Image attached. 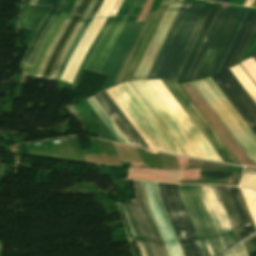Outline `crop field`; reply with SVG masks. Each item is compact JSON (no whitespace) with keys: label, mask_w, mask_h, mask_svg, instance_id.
Masks as SVG:
<instances>
[{"label":"crop field","mask_w":256,"mask_h":256,"mask_svg":"<svg viewBox=\"0 0 256 256\" xmlns=\"http://www.w3.org/2000/svg\"><path fill=\"white\" fill-rule=\"evenodd\" d=\"M206 256H217L237 243L214 185H178Z\"/></svg>","instance_id":"8a807250"},{"label":"crop field","mask_w":256,"mask_h":256,"mask_svg":"<svg viewBox=\"0 0 256 256\" xmlns=\"http://www.w3.org/2000/svg\"><path fill=\"white\" fill-rule=\"evenodd\" d=\"M203 8L183 3L147 79H169Z\"/></svg>","instance_id":"ac0d7876"},{"label":"crop field","mask_w":256,"mask_h":256,"mask_svg":"<svg viewBox=\"0 0 256 256\" xmlns=\"http://www.w3.org/2000/svg\"><path fill=\"white\" fill-rule=\"evenodd\" d=\"M134 189L137 199H134L133 201L135 203L155 256H168L156 228V225L151 216V213L149 211V208L144 199L142 182L134 181ZM133 201L131 200V202L129 203L121 204L124 213L126 215L141 255L154 256Z\"/></svg>","instance_id":"34b2d1b8"},{"label":"crop field","mask_w":256,"mask_h":256,"mask_svg":"<svg viewBox=\"0 0 256 256\" xmlns=\"http://www.w3.org/2000/svg\"><path fill=\"white\" fill-rule=\"evenodd\" d=\"M158 186L160 197L184 256H204L178 195L176 185L158 183Z\"/></svg>","instance_id":"412701ff"},{"label":"crop field","mask_w":256,"mask_h":256,"mask_svg":"<svg viewBox=\"0 0 256 256\" xmlns=\"http://www.w3.org/2000/svg\"><path fill=\"white\" fill-rule=\"evenodd\" d=\"M212 78L256 134V104L230 70L227 69Z\"/></svg>","instance_id":"f4fd0767"},{"label":"crop field","mask_w":256,"mask_h":256,"mask_svg":"<svg viewBox=\"0 0 256 256\" xmlns=\"http://www.w3.org/2000/svg\"><path fill=\"white\" fill-rule=\"evenodd\" d=\"M183 0H169L168 5L180 8ZM151 38V41L141 59V61L154 62L165 37L178 13V9L168 6ZM140 62L131 81L146 79L153 63Z\"/></svg>","instance_id":"dd49c442"},{"label":"crop field","mask_w":256,"mask_h":256,"mask_svg":"<svg viewBox=\"0 0 256 256\" xmlns=\"http://www.w3.org/2000/svg\"><path fill=\"white\" fill-rule=\"evenodd\" d=\"M161 81L172 94V96L176 99V101L180 104L183 110L187 113L190 119L194 122L197 128L201 131L204 137L212 145L215 151L219 154L222 160L225 162L236 163L231 153L224 146L221 140L217 137L214 131L210 128V126L207 124L204 118L200 115L197 109L193 106L190 100L183 93V91L179 88L176 82L172 80Z\"/></svg>","instance_id":"e52e79f7"},{"label":"crop field","mask_w":256,"mask_h":256,"mask_svg":"<svg viewBox=\"0 0 256 256\" xmlns=\"http://www.w3.org/2000/svg\"><path fill=\"white\" fill-rule=\"evenodd\" d=\"M239 13L240 10L226 9L194 80L209 76Z\"/></svg>","instance_id":"d8731c3e"},{"label":"crop field","mask_w":256,"mask_h":256,"mask_svg":"<svg viewBox=\"0 0 256 256\" xmlns=\"http://www.w3.org/2000/svg\"><path fill=\"white\" fill-rule=\"evenodd\" d=\"M67 2L68 0L49 1L47 6L52 8L50 9L49 13L47 14L46 18L44 19L38 30L36 31L35 35L33 36L21 63L32 67L41 46L43 45L45 39L50 33L54 23L63 12Z\"/></svg>","instance_id":"5a996713"},{"label":"crop field","mask_w":256,"mask_h":256,"mask_svg":"<svg viewBox=\"0 0 256 256\" xmlns=\"http://www.w3.org/2000/svg\"><path fill=\"white\" fill-rule=\"evenodd\" d=\"M129 15L115 17L112 24L105 33L103 39L91 57L86 70L100 73L109 53L118 39Z\"/></svg>","instance_id":"3316defc"},{"label":"crop field","mask_w":256,"mask_h":256,"mask_svg":"<svg viewBox=\"0 0 256 256\" xmlns=\"http://www.w3.org/2000/svg\"><path fill=\"white\" fill-rule=\"evenodd\" d=\"M95 97L131 145L149 148L106 91L98 93Z\"/></svg>","instance_id":"28ad6ade"},{"label":"crop field","mask_w":256,"mask_h":256,"mask_svg":"<svg viewBox=\"0 0 256 256\" xmlns=\"http://www.w3.org/2000/svg\"><path fill=\"white\" fill-rule=\"evenodd\" d=\"M238 241L247 237L227 187L216 186Z\"/></svg>","instance_id":"d1516ede"},{"label":"crop field","mask_w":256,"mask_h":256,"mask_svg":"<svg viewBox=\"0 0 256 256\" xmlns=\"http://www.w3.org/2000/svg\"><path fill=\"white\" fill-rule=\"evenodd\" d=\"M49 9V7L23 5L20 13L19 26L37 30Z\"/></svg>","instance_id":"22f410ed"},{"label":"crop field","mask_w":256,"mask_h":256,"mask_svg":"<svg viewBox=\"0 0 256 256\" xmlns=\"http://www.w3.org/2000/svg\"><path fill=\"white\" fill-rule=\"evenodd\" d=\"M167 2H168V0H162V2L160 4V6H159V8H158L154 18H153V20L151 22V24L149 25V27H148V29L146 31V34H145L144 39L142 41V44H141V46H140V48H139V50H138V52H137V54H136L132 64H131V66H130V68H129V70H128V72H127V74H126V76H125V78L123 80V82H127V81L131 80V78H132V76H133V74L135 72V69H136V67H137V65H138V63H139V61L141 59V56H142V54H143V52H144V50H145V48H146V46H147L151 36H152V33H153V31H154V29H155V27H156V25H157V23L159 21L162 13L164 11V9H165V6H166Z\"/></svg>","instance_id":"cbeb9de0"},{"label":"crop field","mask_w":256,"mask_h":256,"mask_svg":"<svg viewBox=\"0 0 256 256\" xmlns=\"http://www.w3.org/2000/svg\"><path fill=\"white\" fill-rule=\"evenodd\" d=\"M218 8L219 7L212 6V8H211V10H210V12H209V14H208L204 24H203V26H202V28L200 30V33H199V35L197 37V40H196V42H195V44H194V46H193V48H192L188 58H187L184 66H183V69H182V71L180 73V76H179L178 80H185L186 79L188 70H189V68H190V66H191V64H192V62H193V60H194V58H195V56H196L200 46H201V43H202V41H203V39H204L208 29H209V27H210L214 17H215V14H216Z\"/></svg>","instance_id":"5142ce71"},{"label":"crop field","mask_w":256,"mask_h":256,"mask_svg":"<svg viewBox=\"0 0 256 256\" xmlns=\"http://www.w3.org/2000/svg\"><path fill=\"white\" fill-rule=\"evenodd\" d=\"M136 18H137L136 15L131 14L130 18L128 19V21H127L119 39L117 40V42H116V44H115V46H114V48H113V50L110 54L105 66H104V68L101 72L102 75L109 76V74H110V72H111V70H112V68H113V66H114V64H115L123 46H124L127 38H128V36H129V33H130L134 23H135Z\"/></svg>","instance_id":"d9b57169"},{"label":"crop field","mask_w":256,"mask_h":256,"mask_svg":"<svg viewBox=\"0 0 256 256\" xmlns=\"http://www.w3.org/2000/svg\"><path fill=\"white\" fill-rule=\"evenodd\" d=\"M154 14H155V12H149L148 13V15H147V17L145 19V22H144V24H143L139 34L137 35V37H136V39H135V41H134V43H133V45H132V47H131V49H130V51H129V53H128L125 61H124V63L122 64V66H121V68H120V70H119V72H118V74H117V76H116L112 86H115V85L120 84L122 82L123 77H124L128 67H129V65H130V63H131V61H132L136 51H137V48H138V46L140 44V41H141V39H142V37H143V35H144V33H145L149 23L151 22Z\"/></svg>","instance_id":"733c2abd"},{"label":"crop field","mask_w":256,"mask_h":256,"mask_svg":"<svg viewBox=\"0 0 256 256\" xmlns=\"http://www.w3.org/2000/svg\"><path fill=\"white\" fill-rule=\"evenodd\" d=\"M212 5H213V3L208 2L206 7H205V9H204V11L200 15L199 20H198V22H197V24H196V26H195V28H194V30H193L189 40L187 42V45H186V47H185V49H184V51H183V53H182L178 63H177V65H176V67H175V69H174L170 79H174V80L177 79V77H178V75H179V73H180V71L182 69V66H183V64H184V62L186 60V57H187V55H188V53H189V51H190V49H191L195 39H196V37H197V35L199 33V30H200V28H201V26H202V24H203V22H204V20H205V18H206V16H207V14H208V12H209V10H210Z\"/></svg>","instance_id":"4a817a6b"},{"label":"crop field","mask_w":256,"mask_h":256,"mask_svg":"<svg viewBox=\"0 0 256 256\" xmlns=\"http://www.w3.org/2000/svg\"><path fill=\"white\" fill-rule=\"evenodd\" d=\"M224 11H225V9H223V8L219 9V11H218L211 27H210L208 33H207V35H206V37H205V39L202 43V46H201V48H200V50H199V52H198V54L195 58L190 70H189V73H188V76H187L186 80H192L193 79V77H194V75H195V73H196V71H197V69H198V67L201 63V60H202V58H203V56H204V54L207 50L208 44H209V42H210L218 24H219V21H220L222 15H223Z\"/></svg>","instance_id":"bc2a9ffb"},{"label":"crop field","mask_w":256,"mask_h":256,"mask_svg":"<svg viewBox=\"0 0 256 256\" xmlns=\"http://www.w3.org/2000/svg\"><path fill=\"white\" fill-rule=\"evenodd\" d=\"M142 24H143V21L135 23V25H134L131 33H130V36H129V38H128V40H127V42H126V44H125V46H124V48H123V50H122V52L119 56V58H118V60L115 64V66H114V68H113V70H112V72H111L103 90L107 89L111 86V84H112V82H113V80H114V78H115V76H116L124 58H125V56L127 55L128 51H129V49H130V47H131V45H132V43H133V41H134V39L137 35V33L139 32V30L142 26Z\"/></svg>","instance_id":"214f88e0"},{"label":"crop field","mask_w":256,"mask_h":256,"mask_svg":"<svg viewBox=\"0 0 256 256\" xmlns=\"http://www.w3.org/2000/svg\"><path fill=\"white\" fill-rule=\"evenodd\" d=\"M229 191H230V194L232 196V199L235 203V206L237 208V211L239 213V216L241 218V221L244 225V228L246 230V233L247 235L249 236L250 234H252L253 232H255L254 228H253V225L251 223V220L248 216V213L246 211V208L244 206V203L242 201V198L239 194V191L237 188H232V187H228ZM242 225V226H243ZM244 230V231H245Z\"/></svg>","instance_id":"92a150f3"},{"label":"crop field","mask_w":256,"mask_h":256,"mask_svg":"<svg viewBox=\"0 0 256 256\" xmlns=\"http://www.w3.org/2000/svg\"><path fill=\"white\" fill-rule=\"evenodd\" d=\"M87 101L93 107V109L97 112V114L100 116V118L104 121V123L107 125V127L111 130V132L115 135V137L118 139V141L122 142V143L129 144V142L126 140V138L120 132V130L117 128V126L114 124V122L110 119V117L107 115V113L101 107V105L98 103V101L95 99V97L93 96V97L87 99Z\"/></svg>","instance_id":"dafd665d"},{"label":"crop field","mask_w":256,"mask_h":256,"mask_svg":"<svg viewBox=\"0 0 256 256\" xmlns=\"http://www.w3.org/2000/svg\"><path fill=\"white\" fill-rule=\"evenodd\" d=\"M66 16H67V14L62 13V15L60 16V18H59V19L57 20V22L55 23V25H54V27H53L51 33L49 34L47 40L45 41V43H44V45H43V47H42V49H41V51H40V53H39V55H38V57H37V60H36L34 66H33V68H32V70H31V72H30V75H31V76L35 77V75H36V73H37V71H38V69H39V67H40V64H41V62H42V60H43V57H44V55H45V53H46V51H47V49H48V47H49V45H50L52 39H53V37L55 36L56 32H57L58 29L60 28V26H61V24L63 23V21H64V19L66 18Z\"/></svg>","instance_id":"00972430"},{"label":"crop field","mask_w":256,"mask_h":256,"mask_svg":"<svg viewBox=\"0 0 256 256\" xmlns=\"http://www.w3.org/2000/svg\"><path fill=\"white\" fill-rule=\"evenodd\" d=\"M246 14H247V11H242L241 12V14H240V16H239V18H238V20H237L233 30L231 31V33H230V35H229V37H228V39H227V41L225 43V46H224V48H223V50H222V52H221V54H220V56H219V58L217 60V63H216V65H215V67H214V69H213V71H212L210 76L218 73V71H219V69H220V67H221V65H222V63L224 61V58H225V56H226V54H227V52H228V50H229V48H230V46L232 44V41H233V39L235 37V34H236V32H237V30H238V28H239V26H240V24H241V22H242V20H243V18L245 17Z\"/></svg>","instance_id":"a9b5d70f"},{"label":"crop field","mask_w":256,"mask_h":256,"mask_svg":"<svg viewBox=\"0 0 256 256\" xmlns=\"http://www.w3.org/2000/svg\"><path fill=\"white\" fill-rule=\"evenodd\" d=\"M114 17H111V18H108L105 22V24L103 25L102 29L100 30L98 36L96 37L94 43L92 44L91 48L89 49L88 53L86 54L80 68H79V71L73 81V85H77L78 81H79V78L87 64V62L89 61L91 55L93 54L94 50L96 49L97 45L99 44L101 38L103 37L104 33L106 32L107 28L109 27V25L111 24L112 20H113Z\"/></svg>","instance_id":"4177f3b9"},{"label":"crop field","mask_w":256,"mask_h":256,"mask_svg":"<svg viewBox=\"0 0 256 256\" xmlns=\"http://www.w3.org/2000/svg\"><path fill=\"white\" fill-rule=\"evenodd\" d=\"M253 15H254V13H252V12H248V14L246 15V17H245V19H244V21H243V23H242V25H241L237 35H236V37H235V40H234V42H233V44L231 46V49H230V51H229V53H228V55H227L223 65H222L220 71L227 69V67H228V65H229V63H230V61H231V59L233 57V54H234V52H235V50H236V48H237V46H238V44H239V42L241 40V38H242L246 28H247L250 20L252 19Z\"/></svg>","instance_id":"730fd06b"},{"label":"crop field","mask_w":256,"mask_h":256,"mask_svg":"<svg viewBox=\"0 0 256 256\" xmlns=\"http://www.w3.org/2000/svg\"><path fill=\"white\" fill-rule=\"evenodd\" d=\"M72 17H73V15L68 14L67 18L65 19L64 23L62 24V26L59 29L58 33L56 34L55 38L53 39V41H52V43H51V45H50V47H49V49H48V51L45 55V58L43 57L44 58L43 63L41 65L36 77H38V78L42 77L43 71H44V69H45V67H46V65H47V63H48V61L51 57V54H52L54 48L56 47L62 33L64 32L65 28L67 27V25L70 22Z\"/></svg>","instance_id":"eef30255"},{"label":"crop field","mask_w":256,"mask_h":256,"mask_svg":"<svg viewBox=\"0 0 256 256\" xmlns=\"http://www.w3.org/2000/svg\"><path fill=\"white\" fill-rule=\"evenodd\" d=\"M84 20H85V18L80 17L77 25L75 26V29L79 30L81 25H82V23L84 22ZM75 29H73L72 33L68 37V39H67L63 49L61 50V52H60V54H59V56H58V58H57V60H56V62L54 64V66H53V68H52L48 78H51V79L54 78V76H55V74H56V72H57V70H58V68H59V66H60V64H61V62H62V60H63V58H64V56H65V54H66V52H67V50L69 48V46H70V44H71V42L73 41L75 35L78 32V30H75Z\"/></svg>","instance_id":"ae1a2a85"},{"label":"crop field","mask_w":256,"mask_h":256,"mask_svg":"<svg viewBox=\"0 0 256 256\" xmlns=\"http://www.w3.org/2000/svg\"><path fill=\"white\" fill-rule=\"evenodd\" d=\"M255 27H256V13H255L253 19L251 20V22H250L242 40H241V43H240L232 61H231V64H230L229 68L237 65V63H238V61H239V59H240V57H241V55L244 51L249 39L251 38V36L254 32Z\"/></svg>","instance_id":"d3111659"},{"label":"crop field","mask_w":256,"mask_h":256,"mask_svg":"<svg viewBox=\"0 0 256 256\" xmlns=\"http://www.w3.org/2000/svg\"><path fill=\"white\" fill-rule=\"evenodd\" d=\"M78 18H79V16L75 15L73 20L71 21V23L69 24V26L67 27L65 32L63 33V35H62V37H61V39H60V41H59V43H58L54 53H53V55H52V57H51V59L49 61V64H48V66H47V68H46L42 78H47L48 77V74H49V72H50V70H51V68H52V66H53V64H54V62H55V60H56V58H57V56H58L62 46H63V44H64V42L66 41L67 37L71 33L72 29L74 28Z\"/></svg>","instance_id":"750c4746"},{"label":"crop field","mask_w":256,"mask_h":256,"mask_svg":"<svg viewBox=\"0 0 256 256\" xmlns=\"http://www.w3.org/2000/svg\"><path fill=\"white\" fill-rule=\"evenodd\" d=\"M91 20H92V18H86V20H85L81 30L78 32V34L76 35L74 41L72 42V44H71V46H70V48H69V50H68V52H67V54H66V56L64 58V61H63L62 65H61V67H60V69H59V71H58V73H57V75L55 77V79H57V80L60 79V77H61V75H62V73H63V71H64V69H65V67L67 65V62H68L72 52L74 51V49L77 46L78 42L80 41L81 37L83 36V34L85 33L86 29L88 28Z\"/></svg>","instance_id":"bd1437ed"},{"label":"crop field","mask_w":256,"mask_h":256,"mask_svg":"<svg viewBox=\"0 0 256 256\" xmlns=\"http://www.w3.org/2000/svg\"><path fill=\"white\" fill-rule=\"evenodd\" d=\"M253 56H256V30H255L240 62H242L250 57H253Z\"/></svg>","instance_id":"1d83c4d3"},{"label":"crop field","mask_w":256,"mask_h":256,"mask_svg":"<svg viewBox=\"0 0 256 256\" xmlns=\"http://www.w3.org/2000/svg\"><path fill=\"white\" fill-rule=\"evenodd\" d=\"M241 65L256 84V62L254 59L250 58L241 63Z\"/></svg>","instance_id":"120bbe31"},{"label":"crop field","mask_w":256,"mask_h":256,"mask_svg":"<svg viewBox=\"0 0 256 256\" xmlns=\"http://www.w3.org/2000/svg\"><path fill=\"white\" fill-rule=\"evenodd\" d=\"M135 2H136V0H123L116 16L126 15V14L130 13V11L132 10Z\"/></svg>","instance_id":"d32e631a"},{"label":"crop field","mask_w":256,"mask_h":256,"mask_svg":"<svg viewBox=\"0 0 256 256\" xmlns=\"http://www.w3.org/2000/svg\"><path fill=\"white\" fill-rule=\"evenodd\" d=\"M223 256H248V255L245 251L243 244H240L239 246L232 249L231 251H229L228 253H226Z\"/></svg>","instance_id":"5866460e"},{"label":"crop field","mask_w":256,"mask_h":256,"mask_svg":"<svg viewBox=\"0 0 256 256\" xmlns=\"http://www.w3.org/2000/svg\"><path fill=\"white\" fill-rule=\"evenodd\" d=\"M101 2H102V0H97V2H96V4H95L94 8L92 9V11L89 13L88 16L94 17V15L96 14V12H97V10H98V8H99Z\"/></svg>","instance_id":"028f5c9d"},{"label":"crop field","mask_w":256,"mask_h":256,"mask_svg":"<svg viewBox=\"0 0 256 256\" xmlns=\"http://www.w3.org/2000/svg\"><path fill=\"white\" fill-rule=\"evenodd\" d=\"M121 2H122V0H117V1H116V3H115V5H114V7H113V9H112V11H111L109 17L115 16V14H116V12H117V10H118V8H119Z\"/></svg>","instance_id":"e1f06a70"},{"label":"crop field","mask_w":256,"mask_h":256,"mask_svg":"<svg viewBox=\"0 0 256 256\" xmlns=\"http://www.w3.org/2000/svg\"><path fill=\"white\" fill-rule=\"evenodd\" d=\"M89 0H83L80 8L78 9V11L76 12V14L78 15H82L84 9L86 8L87 4H88Z\"/></svg>","instance_id":"0bd39190"},{"label":"crop field","mask_w":256,"mask_h":256,"mask_svg":"<svg viewBox=\"0 0 256 256\" xmlns=\"http://www.w3.org/2000/svg\"><path fill=\"white\" fill-rule=\"evenodd\" d=\"M95 1H96V0H90V2H89V4H88L87 8L85 9V11H84V13H83L84 16H87V14L90 12V10L92 9V7H93Z\"/></svg>","instance_id":"b80d0937"},{"label":"crop field","mask_w":256,"mask_h":256,"mask_svg":"<svg viewBox=\"0 0 256 256\" xmlns=\"http://www.w3.org/2000/svg\"><path fill=\"white\" fill-rule=\"evenodd\" d=\"M82 0H77L70 13L75 14Z\"/></svg>","instance_id":"c035e120"},{"label":"crop field","mask_w":256,"mask_h":256,"mask_svg":"<svg viewBox=\"0 0 256 256\" xmlns=\"http://www.w3.org/2000/svg\"><path fill=\"white\" fill-rule=\"evenodd\" d=\"M146 0H138L136 6L143 8L145 5Z\"/></svg>","instance_id":"c21b1889"},{"label":"crop field","mask_w":256,"mask_h":256,"mask_svg":"<svg viewBox=\"0 0 256 256\" xmlns=\"http://www.w3.org/2000/svg\"><path fill=\"white\" fill-rule=\"evenodd\" d=\"M48 1H49V0H43V2H42V0H38V2H37V4H36V5H40V4H41V2H42V4H41V5L46 6V5H47V3H48Z\"/></svg>","instance_id":"03da06ac"},{"label":"crop field","mask_w":256,"mask_h":256,"mask_svg":"<svg viewBox=\"0 0 256 256\" xmlns=\"http://www.w3.org/2000/svg\"><path fill=\"white\" fill-rule=\"evenodd\" d=\"M37 0H30L28 4L35 5Z\"/></svg>","instance_id":"b54c1fbb"},{"label":"crop field","mask_w":256,"mask_h":256,"mask_svg":"<svg viewBox=\"0 0 256 256\" xmlns=\"http://www.w3.org/2000/svg\"><path fill=\"white\" fill-rule=\"evenodd\" d=\"M229 1H230V0H223V2H225V3H229Z\"/></svg>","instance_id":"5d738f31"},{"label":"crop field","mask_w":256,"mask_h":256,"mask_svg":"<svg viewBox=\"0 0 256 256\" xmlns=\"http://www.w3.org/2000/svg\"><path fill=\"white\" fill-rule=\"evenodd\" d=\"M215 1L221 2L222 0H215Z\"/></svg>","instance_id":"d23c7cc5"},{"label":"crop field","mask_w":256,"mask_h":256,"mask_svg":"<svg viewBox=\"0 0 256 256\" xmlns=\"http://www.w3.org/2000/svg\"><path fill=\"white\" fill-rule=\"evenodd\" d=\"M254 59H255V61H256V57H255Z\"/></svg>","instance_id":"425ffa30"},{"label":"crop field","mask_w":256,"mask_h":256,"mask_svg":"<svg viewBox=\"0 0 256 256\" xmlns=\"http://www.w3.org/2000/svg\"><path fill=\"white\" fill-rule=\"evenodd\" d=\"M212 1H214V0H212Z\"/></svg>","instance_id":"25e5ab78"}]
</instances>
